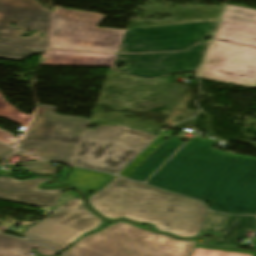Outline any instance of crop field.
I'll list each match as a JSON object with an SVG mask.
<instances>
[{
    "label": "crop field",
    "mask_w": 256,
    "mask_h": 256,
    "mask_svg": "<svg viewBox=\"0 0 256 256\" xmlns=\"http://www.w3.org/2000/svg\"><path fill=\"white\" fill-rule=\"evenodd\" d=\"M88 202L106 219L125 217L147 222L157 231L181 238L197 236L207 212L199 201L119 177Z\"/></svg>",
    "instance_id": "1"
},
{
    "label": "crop field",
    "mask_w": 256,
    "mask_h": 256,
    "mask_svg": "<svg viewBox=\"0 0 256 256\" xmlns=\"http://www.w3.org/2000/svg\"><path fill=\"white\" fill-rule=\"evenodd\" d=\"M256 10L227 4L197 77L256 89Z\"/></svg>",
    "instance_id": "2"
},
{
    "label": "crop field",
    "mask_w": 256,
    "mask_h": 256,
    "mask_svg": "<svg viewBox=\"0 0 256 256\" xmlns=\"http://www.w3.org/2000/svg\"><path fill=\"white\" fill-rule=\"evenodd\" d=\"M217 141L191 139L147 184L211 203L231 155L212 148Z\"/></svg>",
    "instance_id": "3"
},
{
    "label": "crop field",
    "mask_w": 256,
    "mask_h": 256,
    "mask_svg": "<svg viewBox=\"0 0 256 256\" xmlns=\"http://www.w3.org/2000/svg\"><path fill=\"white\" fill-rule=\"evenodd\" d=\"M195 243L120 221L81 238L64 253L70 256H189Z\"/></svg>",
    "instance_id": "4"
},
{
    "label": "crop field",
    "mask_w": 256,
    "mask_h": 256,
    "mask_svg": "<svg viewBox=\"0 0 256 256\" xmlns=\"http://www.w3.org/2000/svg\"><path fill=\"white\" fill-rule=\"evenodd\" d=\"M55 109L40 105L25 140H20L17 147L26 152L36 150V156L71 165L89 120L56 115Z\"/></svg>",
    "instance_id": "5"
},
{
    "label": "crop field",
    "mask_w": 256,
    "mask_h": 256,
    "mask_svg": "<svg viewBox=\"0 0 256 256\" xmlns=\"http://www.w3.org/2000/svg\"><path fill=\"white\" fill-rule=\"evenodd\" d=\"M16 27L10 26L11 23ZM51 11L35 0H0V57L23 59L48 49ZM21 28L20 31H17ZM26 29L38 30L33 37L22 38ZM41 31H46L40 40Z\"/></svg>",
    "instance_id": "6"
},
{
    "label": "crop field",
    "mask_w": 256,
    "mask_h": 256,
    "mask_svg": "<svg viewBox=\"0 0 256 256\" xmlns=\"http://www.w3.org/2000/svg\"><path fill=\"white\" fill-rule=\"evenodd\" d=\"M124 128L126 127L102 126L87 130L72 165L117 173L154 138L149 134Z\"/></svg>",
    "instance_id": "7"
},
{
    "label": "crop field",
    "mask_w": 256,
    "mask_h": 256,
    "mask_svg": "<svg viewBox=\"0 0 256 256\" xmlns=\"http://www.w3.org/2000/svg\"><path fill=\"white\" fill-rule=\"evenodd\" d=\"M104 18L96 13L57 10L52 48L116 53L125 30L95 28Z\"/></svg>",
    "instance_id": "8"
},
{
    "label": "crop field",
    "mask_w": 256,
    "mask_h": 256,
    "mask_svg": "<svg viewBox=\"0 0 256 256\" xmlns=\"http://www.w3.org/2000/svg\"><path fill=\"white\" fill-rule=\"evenodd\" d=\"M103 222L85 208L81 198L76 197L49 213L23 236L61 251L78 237L98 228Z\"/></svg>",
    "instance_id": "9"
},
{
    "label": "crop field",
    "mask_w": 256,
    "mask_h": 256,
    "mask_svg": "<svg viewBox=\"0 0 256 256\" xmlns=\"http://www.w3.org/2000/svg\"><path fill=\"white\" fill-rule=\"evenodd\" d=\"M217 21L127 29L117 52L183 50L213 35Z\"/></svg>",
    "instance_id": "10"
},
{
    "label": "crop field",
    "mask_w": 256,
    "mask_h": 256,
    "mask_svg": "<svg viewBox=\"0 0 256 256\" xmlns=\"http://www.w3.org/2000/svg\"><path fill=\"white\" fill-rule=\"evenodd\" d=\"M209 209L256 214V158L231 155Z\"/></svg>",
    "instance_id": "11"
},
{
    "label": "crop field",
    "mask_w": 256,
    "mask_h": 256,
    "mask_svg": "<svg viewBox=\"0 0 256 256\" xmlns=\"http://www.w3.org/2000/svg\"><path fill=\"white\" fill-rule=\"evenodd\" d=\"M206 46V43H200L180 53L117 54L111 70L142 79L196 71L203 59ZM115 63H127L129 67L116 69L113 68Z\"/></svg>",
    "instance_id": "12"
},
{
    "label": "crop field",
    "mask_w": 256,
    "mask_h": 256,
    "mask_svg": "<svg viewBox=\"0 0 256 256\" xmlns=\"http://www.w3.org/2000/svg\"><path fill=\"white\" fill-rule=\"evenodd\" d=\"M51 178H39L28 181H17L11 177L0 176V198L32 204L35 206H56L62 189L42 190L41 183Z\"/></svg>",
    "instance_id": "13"
},
{
    "label": "crop field",
    "mask_w": 256,
    "mask_h": 256,
    "mask_svg": "<svg viewBox=\"0 0 256 256\" xmlns=\"http://www.w3.org/2000/svg\"><path fill=\"white\" fill-rule=\"evenodd\" d=\"M115 55L53 50L42 65L111 67Z\"/></svg>",
    "instance_id": "14"
},
{
    "label": "crop field",
    "mask_w": 256,
    "mask_h": 256,
    "mask_svg": "<svg viewBox=\"0 0 256 256\" xmlns=\"http://www.w3.org/2000/svg\"><path fill=\"white\" fill-rule=\"evenodd\" d=\"M181 140V138L171 137L164 141L128 178L144 182L184 143Z\"/></svg>",
    "instance_id": "15"
},
{
    "label": "crop field",
    "mask_w": 256,
    "mask_h": 256,
    "mask_svg": "<svg viewBox=\"0 0 256 256\" xmlns=\"http://www.w3.org/2000/svg\"><path fill=\"white\" fill-rule=\"evenodd\" d=\"M256 227L255 217L230 216L227 224L217 241H210L211 245H234L244 237L247 231L254 232Z\"/></svg>",
    "instance_id": "16"
},
{
    "label": "crop field",
    "mask_w": 256,
    "mask_h": 256,
    "mask_svg": "<svg viewBox=\"0 0 256 256\" xmlns=\"http://www.w3.org/2000/svg\"><path fill=\"white\" fill-rule=\"evenodd\" d=\"M110 178L111 176L108 174L71 167L67 183L83 191H88L103 186Z\"/></svg>",
    "instance_id": "17"
},
{
    "label": "crop field",
    "mask_w": 256,
    "mask_h": 256,
    "mask_svg": "<svg viewBox=\"0 0 256 256\" xmlns=\"http://www.w3.org/2000/svg\"><path fill=\"white\" fill-rule=\"evenodd\" d=\"M31 117L8 104L0 95V118L27 126ZM0 142L11 145L15 143V139L12 134L0 129Z\"/></svg>",
    "instance_id": "18"
},
{
    "label": "crop field",
    "mask_w": 256,
    "mask_h": 256,
    "mask_svg": "<svg viewBox=\"0 0 256 256\" xmlns=\"http://www.w3.org/2000/svg\"><path fill=\"white\" fill-rule=\"evenodd\" d=\"M33 246L34 243L0 235V256H31L28 254Z\"/></svg>",
    "instance_id": "19"
},
{
    "label": "crop field",
    "mask_w": 256,
    "mask_h": 256,
    "mask_svg": "<svg viewBox=\"0 0 256 256\" xmlns=\"http://www.w3.org/2000/svg\"><path fill=\"white\" fill-rule=\"evenodd\" d=\"M227 217L228 216H226V215L208 211L200 233H213V234L218 235L220 233Z\"/></svg>",
    "instance_id": "20"
},
{
    "label": "crop field",
    "mask_w": 256,
    "mask_h": 256,
    "mask_svg": "<svg viewBox=\"0 0 256 256\" xmlns=\"http://www.w3.org/2000/svg\"><path fill=\"white\" fill-rule=\"evenodd\" d=\"M48 161H40L34 163L21 164L20 166L29 168L28 172L34 174L51 173L56 174L57 168H54Z\"/></svg>",
    "instance_id": "21"
},
{
    "label": "crop field",
    "mask_w": 256,
    "mask_h": 256,
    "mask_svg": "<svg viewBox=\"0 0 256 256\" xmlns=\"http://www.w3.org/2000/svg\"><path fill=\"white\" fill-rule=\"evenodd\" d=\"M193 256H252V255L196 248L193 253Z\"/></svg>",
    "instance_id": "22"
},
{
    "label": "crop field",
    "mask_w": 256,
    "mask_h": 256,
    "mask_svg": "<svg viewBox=\"0 0 256 256\" xmlns=\"http://www.w3.org/2000/svg\"><path fill=\"white\" fill-rule=\"evenodd\" d=\"M195 247L207 248V249H215V250H223V251H230V252H238V253H246V254H252L253 256H256V252H253V251L231 250V249H228V248L221 249V248H215V247H207V246L200 245V244H195L194 248ZM194 248L192 250V253L194 251ZM192 253H191L190 256H192Z\"/></svg>",
    "instance_id": "23"
},
{
    "label": "crop field",
    "mask_w": 256,
    "mask_h": 256,
    "mask_svg": "<svg viewBox=\"0 0 256 256\" xmlns=\"http://www.w3.org/2000/svg\"><path fill=\"white\" fill-rule=\"evenodd\" d=\"M14 152L13 149L0 144V160L4 159L8 155Z\"/></svg>",
    "instance_id": "24"
},
{
    "label": "crop field",
    "mask_w": 256,
    "mask_h": 256,
    "mask_svg": "<svg viewBox=\"0 0 256 256\" xmlns=\"http://www.w3.org/2000/svg\"><path fill=\"white\" fill-rule=\"evenodd\" d=\"M38 249L36 250L38 253L42 254V255H46V256H55L57 253L41 246V245H37L36 246Z\"/></svg>",
    "instance_id": "25"
},
{
    "label": "crop field",
    "mask_w": 256,
    "mask_h": 256,
    "mask_svg": "<svg viewBox=\"0 0 256 256\" xmlns=\"http://www.w3.org/2000/svg\"><path fill=\"white\" fill-rule=\"evenodd\" d=\"M252 35H253V34H252ZM254 35L256 36V31H255Z\"/></svg>",
    "instance_id": "26"
}]
</instances>
